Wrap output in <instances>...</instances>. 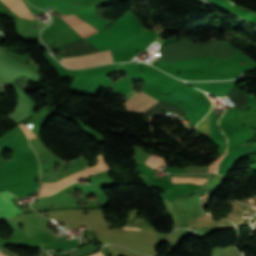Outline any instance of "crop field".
Listing matches in <instances>:
<instances>
[{"label": "crop field", "instance_id": "412701ff", "mask_svg": "<svg viewBox=\"0 0 256 256\" xmlns=\"http://www.w3.org/2000/svg\"><path fill=\"white\" fill-rule=\"evenodd\" d=\"M62 19H64L73 29H75L83 37H86L94 32H98L91 25L83 22L81 19L74 15L64 16L62 17Z\"/></svg>", "mask_w": 256, "mask_h": 256}, {"label": "crop field", "instance_id": "d1516ede", "mask_svg": "<svg viewBox=\"0 0 256 256\" xmlns=\"http://www.w3.org/2000/svg\"><path fill=\"white\" fill-rule=\"evenodd\" d=\"M253 205H256V203H254Z\"/></svg>", "mask_w": 256, "mask_h": 256}, {"label": "crop field", "instance_id": "3316defc", "mask_svg": "<svg viewBox=\"0 0 256 256\" xmlns=\"http://www.w3.org/2000/svg\"><path fill=\"white\" fill-rule=\"evenodd\" d=\"M160 158H161V157H160ZM161 161H162V164H163V165H166L165 162H164V160H163V158H161Z\"/></svg>", "mask_w": 256, "mask_h": 256}, {"label": "crop field", "instance_id": "e52e79f7", "mask_svg": "<svg viewBox=\"0 0 256 256\" xmlns=\"http://www.w3.org/2000/svg\"><path fill=\"white\" fill-rule=\"evenodd\" d=\"M225 155V154H224ZM220 156L218 159H216L210 166H209V169H208V172H215L216 169H217V165L220 161V159L224 156Z\"/></svg>", "mask_w": 256, "mask_h": 256}, {"label": "crop field", "instance_id": "dd49c442", "mask_svg": "<svg viewBox=\"0 0 256 256\" xmlns=\"http://www.w3.org/2000/svg\"><path fill=\"white\" fill-rule=\"evenodd\" d=\"M172 183H192V184H199L202 185L207 179L202 178H180V177H173L171 178Z\"/></svg>", "mask_w": 256, "mask_h": 256}, {"label": "crop field", "instance_id": "34b2d1b8", "mask_svg": "<svg viewBox=\"0 0 256 256\" xmlns=\"http://www.w3.org/2000/svg\"><path fill=\"white\" fill-rule=\"evenodd\" d=\"M12 195L7 192L0 193V221L22 212L11 202Z\"/></svg>", "mask_w": 256, "mask_h": 256}, {"label": "crop field", "instance_id": "d8731c3e", "mask_svg": "<svg viewBox=\"0 0 256 256\" xmlns=\"http://www.w3.org/2000/svg\"><path fill=\"white\" fill-rule=\"evenodd\" d=\"M123 230H141V229L133 225H128L123 227Z\"/></svg>", "mask_w": 256, "mask_h": 256}, {"label": "crop field", "instance_id": "f4fd0767", "mask_svg": "<svg viewBox=\"0 0 256 256\" xmlns=\"http://www.w3.org/2000/svg\"><path fill=\"white\" fill-rule=\"evenodd\" d=\"M18 16L32 19L34 18L22 0H2Z\"/></svg>", "mask_w": 256, "mask_h": 256}, {"label": "crop field", "instance_id": "ac0d7876", "mask_svg": "<svg viewBox=\"0 0 256 256\" xmlns=\"http://www.w3.org/2000/svg\"><path fill=\"white\" fill-rule=\"evenodd\" d=\"M159 102L155 101L154 99L150 98L146 94L140 92L130 98L123 104L126 106L127 110H133L136 112L141 113L146 109L150 108L151 106L157 104Z\"/></svg>", "mask_w": 256, "mask_h": 256}, {"label": "crop field", "instance_id": "28ad6ade", "mask_svg": "<svg viewBox=\"0 0 256 256\" xmlns=\"http://www.w3.org/2000/svg\"><path fill=\"white\" fill-rule=\"evenodd\" d=\"M1 253V252H0ZM0 256H3L2 254H0Z\"/></svg>", "mask_w": 256, "mask_h": 256}, {"label": "crop field", "instance_id": "8a807250", "mask_svg": "<svg viewBox=\"0 0 256 256\" xmlns=\"http://www.w3.org/2000/svg\"><path fill=\"white\" fill-rule=\"evenodd\" d=\"M111 62L99 51L62 59V64L71 68L89 67Z\"/></svg>", "mask_w": 256, "mask_h": 256}, {"label": "crop field", "instance_id": "5a996713", "mask_svg": "<svg viewBox=\"0 0 256 256\" xmlns=\"http://www.w3.org/2000/svg\"><path fill=\"white\" fill-rule=\"evenodd\" d=\"M98 159H99V162H102V163H104V160H103V157H102V155L98 156Z\"/></svg>", "mask_w": 256, "mask_h": 256}]
</instances>
